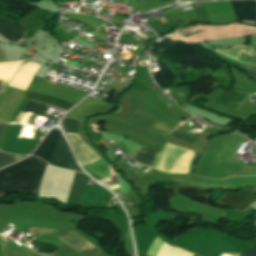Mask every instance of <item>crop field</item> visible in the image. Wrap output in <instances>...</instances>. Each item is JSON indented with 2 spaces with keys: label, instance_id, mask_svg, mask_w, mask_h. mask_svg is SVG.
<instances>
[{
  "label": "crop field",
  "instance_id": "obj_1",
  "mask_svg": "<svg viewBox=\"0 0 256 256\" xmlns=\"http://www.w3.org/2000/svg\"><path fill=\"white\" fill-rule=\"evenodd\" d=\"M46 165L31 156L0 170V196L9 192H38Z\"/></svg>",
  "mask_w": 256,
  "mask_h": 256
},
{
  "label": "crop field",
  "instance_id": "obj_2",
  "mask_svg": "<svg viewBox=\"0 0 256 256\" xmlns=\"http://www.w3.org/2000/svg\"><path fill=\"white\" fill-rule=\"evenodd\" d=\"M193 152L166 143L153 168L164 173H187Z\"/></svg>",
  "mask_w": 256,
  "mask_h": 256
},
{
  "label": "crop field",
  "instance_id": "obj_3",
  "mask_svg": "<svg viewBox=\"0 0 256 256\" xmlns=\"http://www.w3.org/2000/svg\"><path fill=\"white\" fill-rule=\"evenodd\" d=\"M49 162L59 167L82 172L81 169L78 167L62 132H60L58 136L56 144L50 155Z\"/></svg>",
  "mask_w": 256,
  "mask_h": 256
},
{
  "label": "crop field",
  "instance_id": "obj_4",
  "mask_svg": "<svg viewBox=\"0 0 256 256\" xmlns=\"http://www.w3.org/2000/svg\"><path fill=\"white\" fill-rule=\"evenodd\" d=\"M84 256H93L100 251L70 228L56 236Z\"/></svg>",
  "mask_w": 256,
  "mask_h": 256
},
{
  "label": "crop field",
  "instance_id": "obj_5",
  "mask_svg": "<svg viewBox=\"0 0 256 256\" xmlns=\"http://www.w3.org/2000/svg\"><path fill=\"white\" fill-rule=\"evenodd\" d=\"M73 151L79 160L81 166L92 164L97 160L101 159L87 144H85L79 134L75 133H66Z\"/></svg>",
  "mask_w": 256,
  "mask_h": 256
},
{
  "label": "crop field",
  "instance_id": "obj_6",
  "mask_svg": "<svg viewBox=\"0 0 256 256\" xmlns=\"http://www.w3.org/2000/svg\"><path fill=\"white\" fill-rule=\"evenodd\" d=\"M236 19L234 22L254 25L256 15V5L252 0H235L231 1Z\"/></svg>",
  "mask_w": 256,
  "mask_h": 256
},
{
  "label": "crop field",
  "instance_id": "obj_7",
  "mask_svg": "<svg viewBox=\"0 0 256 256\" xmlns=\"http://www.w3.org/2000/svg\"><path fill=\"white\" fill-rule=\"evenodd\" d=\"M256 200V191L243 190L242 193L233 195L225 193L216 203L229 205L238 210H245Z\"/></svg>",
  "mask_w": 256,
  "mask_h": 256
},
{
  "label": "crop field",
  "instance_id": "obj_8",
  "mask_svg": "<svg viewBox=\"0 0 256 256\" xmlns=\"http://www.w3.org/2000/svg\"><path fill=\"white\" fill-rule=\"evenodd\" d=\"M28 28L24 25L0 18V35L17 44L23 40Z\"/></svg>",
  "mask_w": 256,
  "mask_h": 256
},
{
  "label": "crop field",
  "instance_id": "obj_9",
  "mask_svg": "<svg viewBox=\"0 0 256 256\" xmlns=\"http://www.w3.org/2000/svg\"><path fill=\"white\" fill-rule=\"evenodd\" d=\"M88 177L83 174L76 173L71 189L68 194V199L66 203L77 204L81 193L83 192Z\"/></svg>",
  "mask_w": 256,
  "mask_h": 256
},
{
  "label": "crop field",
  "instance_id": "obj_10",
  "mask_svg": "<svg viewBox=\"0 0 256 256\" xmlns=\"http://www.w3.org/2000/svg\"><path fill=\"white\" fill-rule=\"evenodd\" d=\"M247 95L245 94H236L223 91L214 102L224 104L230 108L238 110L240 106L245 102Z\"/></svg>",
  "mask_w": 256,
  "mask_h": 256
},
{
  "label": "crop field",
  "instance_id": "obj_11",
  "mask_svg": "<svg viewBox=\"0 0 256 256\" xmlns=\"http://www.w3.org/2000/svg\"><path fill=\"white\" fill-rule=\"evenodd\" d=\"M59 131L51 130L50 133L46 136L40 146L36 149L33 155L42 158L43 160L48 162L49 155L55 143Z\"/></svg>",
  "mask_w": 256,
  "mask_h": 256
},
{
  "label": "crop field",
  "instance_id": "obj_12",
  "mask_svg": "<svg viewBox=\"0 0 256 256\" xmlns=\"http://www.w3.org/2000/svg\"><path fill=\"white\" fill-rule=\"evenodd\" d=\"M25 98L37 100V101H41V102H44L49 105L57 106L66 111H68L74 105V104H71V103L63 101V100H59V99H56L53 97H49L46 95H42V94L30 92V91H26Z\"/></svg>",
  "mask_w": 256,
  "mask_h": 256
},
{
  "label": "crop field",
  "instance_id": "obj_13",
  "mask_svg": "<svg viewBox=\"0 0 256 256\" xmlns=\"http://www.w3.org/2000/svg\"><path fill=\"white\" fill-rule=\"evenodd\" d=\"M251 37H254L253 41L251 42V45H241V46H236V47H233V48L227 49V50H216V51L226 54V55L238 60L241 52H243L247 55H250L253 44H256V35L251 36Z\"/></svg>",
  "mask_w": 256,
  "mask_h": 256
},
{
  "label": "crop field",
  "instance_id": "obj_14",
  "mask_svg": "<svg viewBox=\"0 0 256 256\" xmlns=\"http://www.w3.org/2000/svg\"><path fill=\"white\" fill-rule=\"evenodd\" d=\"M132 156L137 158L139 161L152 166V164L157 156V153L143 147L140 150H138L136 153H134Z\"/></svg>",
  "mask_w": 256,
  "mask_h": 256
},
{
  "label": "crop field",
  "instance_id": "obj_15",
  "mask_svg": "<svg viewBox=\"0 0 256 256\" xmlns=\"http://www.w3.org/2000/svg\"><path fill=\"white\" fill-rule=\"evenodd\" d=\"M47 108L48 105L29 101L22 111L44 116Z\"/></svg>",
  "mask_w": 256,
  "mask_h": 256
},
{
  "label": "crop field",
  "instance_id": "obj_16",
  "mask_svg": "<svg viewBox=\"0 0 256 256\" xmlns=\"http://www.w3.org/2000/svg\"><path fill=\"white\" fill-rule=\"evenodd\" d=\"M77 123H78V121L68 119V118H64L63 121H62V125L64 127L65 132H76V133H78Z\"/></svg>",
  "mask_w": 256,
  "mask_h": 256
},
{
  "label": "crop field",
  "instance_id": "obj_17",
  "mask_svg": "<svg viewBox=\"0 0 256 256\" xmlns=\"http://www.w3.org/2000/svg\"><path fill=\"white\" fill-rule=\"evenodd\" d=\"M170 136H173L175 138L187 141V142L192 143V144H194V142L197 140V137H194V136H191V135H188V134L176 131V130H174L170 134Z\"/></svg>",
  "mask_w": 256,
  "mask_h": 256
},
{
  "label": "crop field",
  "instance_id": "obj_18",
  "mask_svg": "<svg viewBox=\"0 0 256 256\" xmlns=\"http://www.w3.org/2000/svg\"><path fill=\"white\" fill-rule=\"evenodd\" d=\"M122 92H123V90L111 88L107 98L105 99V102H108V103L115 106L117 95L122 93Z\"/></svg>",
  "mask_w": 256,
  "mask_h": 256
},
{
  "label": "crop field",
  "instance_id": "obj_19",
  "mask_svg": "<svg viewBox=\"0 0 256 256\" xmlns=\"http://www.w3.org/2000/svg\"><path fill=\"white\" fill-rule=\"evenodd\" d=\"M237 67H239L246 74L250 75L252 78H256V67L241 64H237Z\"/></svg>",
  "mask_w": 256,
  "mask_h": 256
},
{
  "label": "crop field",
  "instance_id": "obj_20",
  "mask_svg": "<svg viewBox=\"0 0 256 256\" xmlns=\"http://www.w3.org/2000/svg\"><path fill=\"white\" fill-rule=\"evenodd\" d=\"M13 162V156L0 153V168Z\"/></svg>",
  "mask_w": 256,
  "mask_h": 256
},
{
  "label": "crop field",
  "instance_id": "obj_21",
  "mask_svg": "<svg viewBox=\"0 0 256 256\" xmlns=\"http://www.w3.org/2000/svg\"><path fill=\"white\" fill-rule=\"evenodd\" d=\"M244 256H256V245L250 251L242 252Z\"/></svg>",
  "mask_w": 256,
  "mask_h": 256
},
{
  "label": "crop field",
  "instance_id": "obj_22",
  "mask_svg": "<svg viewBox=\"0 0 256 256\" xmlns=\"http://www.w3.org/2000/svg\"><path fill=\"white\" fill-rule=\"evenodd\" d=\"M7 82L0 80V94H2Z\"/></svg>",
  "mask_w": 256,
  "mask_h": 256
},
{
  "label": "crop field",
  "instance_id": "obj_23",
  "mask_svg": "<svg viewBox=\"0 0 256 256\" xmlns=\"http://www.w3.org/2000/svg\"><path fill=\"white\" fill-rule=\"evenodd\" d=\"M251 56H256V45H254Z\"/></svg>",
  "mask_w": 256,
  "mask_h": 256
},
{
  "label": "crop field",
  "instance_id": "obj_24",
  "mask_svg": "<svg viewBox=\"0 0 256 256\" xmlns=\"http://www.w3.org/2000/svg\"><path fill=\"white\" fill-rule=\"evenodd\" d=\"M3 127H4V125H0V134L2 132Z\"/></svg>",
  "mask_w": 256,
  "mask_h": 256
}]
</instances>
